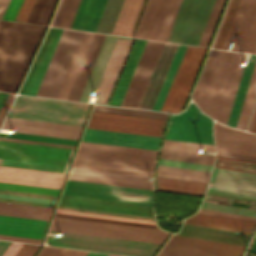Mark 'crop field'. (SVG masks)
Wrapping results in <instances>:
<instances>
[{
  "instance_id": "obj_51",
  "label": "crop field",
  "mask_w": 256,
  "mask_h": 256,
  "mask_svg": "<svg viewBox=\"0 0 256 256\" xmlns=\"http://www.w3.org/2000/svg\"><path fill=\"white\" fill-rule=\"evenodd\" d=\"M200 208L256 217V210L203 202Z\"/></svg>"
},
{
  "instance_id": "obj_4",
  "label": "crop field",
  "mask_w": 256,
  "mask_h": 256,
  "mask_svg": "<svg viewBox=\"0 0 256 256\" xmlns=\"http://www.w3.org/2000/svg\"><path fill=\"white\" fill-rule=\"evenodd\" d=\"M157 151L81 142L72 167L152 177Z\"/></svg>"
},
{
  "instance_id": "obj_46",
  "label": "crop field",
  "mask_w": 256,
  "mask_h": 256,
  "mask_svg": "<svg viewBox=\"0 0 256 256\" xmlns=\"http://www.w3.org/2000/svg\"><path fill=\"white\" fill-rule=\"evenodd\" d=\"M225 0H216L199 46H208Z\"/></svg>"
},
{
  "instance_id": "obj_50",
  "label": "crop field",
  "mask_w": 256,
  "mask_h": 256,
  "mask_svg": "<svg viewBox=\"0 0 256 256\" xmlns=\"http://www.w3.org/2000/svg\"><path fill=\"white\" fill-rule=\"evenodd\" d=\"M0 136L1 137L18 138V139H27V140H36V141L62 143V144H71V145H75L76 141H77V140H73V139H64V138L28 135V134H20V133H17L16 135L0 133Z\"/></svg>"
},
{
  "instance_id": "obj_37",
  "label": "crop field",
  "mask_w": 256,
  "mask_h": 256,
  "mask_svg": "<svg viewBox=\"0 0 256 256\" xmlns=\"http://www.w3.org/2000/svg\"><path fill=\"white\" fill-rule=\"evenodd\" d=\"M80 0H61L51 26L69 28Z\"/></svg>"
},
{
  "instance_id": "obj_58",
  "label": "crop field",
  "mask_w": 256,
  "mask_h": 256,
  "mask_svg": "<svg viewBox=\"0 0 256 256\" xmlns=\"http://www.w3.org/2000/svg\"><path fill=\"white\" fill-rule=\"evenodd\" d=\"M34 0H24L14 21L24 22Z\"/></svg>"
},
{
  "instance_id": "obj_52",
  "label": "crop field",
  "mask_w": 256,
  "mask_h": 256,
  "mask_svg": "<svg viewBox=\"0 0 256 256\" xmlns=\"http://www.w3.org/2000/svg\"><path fill=\"white\" fill-rule=\"evenodd\" d=\"M0 188L53 194V195H57L59 192V190H56V189H48V188H40V187H32V186H24V185H16V184H8V183H0Z\"/></svg>"
},
{
  "instance_id": "obj_63",
  "label": "crop field",
  "mask_w": 256,
  "mask_h": 256,
  "mask_svg": "<svg viewBox=\"0 0 256 256\" xmlns=\"http://www.w3.org/2000/svg\"><path fill=\"white\" fill-rule=\"evenodd\" d=\"M0 197L11 198V199H19V200H27V201H35V202H43V203H51V204L55 203V201H53V200L29 198V197L6 195V194H0Z\"/></svg>"
},
{
  "instance_id": "obj_48",
  "label": "crop field",
  "mask_w": 256,
  "mask_h": 256,
  "mask_svg": "<svg viewBox=\"0 0 256 256\" xmlns=\"http://www.w3.org/2000/svg\"><path fill=\"white\" fill-rule=\"evenodd\" d=\"M162 148L197 152V153H200V150L214 151V146H210V145L185 143V142H177V141H169V140L164 141Z\"/></svg>"
},
{
  "instance_id": "obj_5",
  "label": "crop field",
  "mask_w": 256,
  "mask_h": 256,
  "mask_svg": "<svg viewBox=\"0 0 256 256\" xmlns=\"http://www.w3.org/2000/svg\"><path fill=\"white\" fill-rule=\"evenodd\" d=\"M245 54L217 51L200 109L227 123L242 75Z\"/></svg>"
},
{
  "instance_id": "obj_71",
  "label": "crop field",
  "mask_w": 256,
  "mask_h": 256,
  "mask_svg": "<svg viewBox=\"0 0 256 256\" xmlns=\"http://www.w3.org/2000/svg\"><path fill=\"white\" fill-rule=\"evenodd\" d=\"M10 0H0V19L2 18Z\"/></svg>"
},
{
  "instance_id": "obj_19",
  "label": "crop field",
  "mask_w": 256,
  "mask_h": 256,
  "mask_svg": "<svg viewBox=\"0 0 256 256\" xmlns=\"http://www.w3.org/2000/svg\"><path fill=\"white\" fill-rule=\"evenodd\" d=\"M217 150L256 157V134L229 128L215 122Z\"/></svg>"
},
{
  "instance_id": "obj_44",
  "label": "crop field",
  "mask_w": 256,
  "mask_h": 256,
  "mask_svg": "<svg viewBox=\"0 0 256 256\" xmlns=\"http://www.w3.org/2000/svg\"><path fill=\"white\" fill-rule=\"evenodd\" d=\"M189 219H195V220H201V221H207V222H213V223H219V224H225V225H231V226H237V227H243V228H249V229H253V226L256 224L253 222H247V221H241V220H235V219H229V218H223V217H217V216H211V215H205V214H199V213H196L195 215L189 217Z\"/></svg>"
},
{
  "instance_id": "obj_80",
  "label": "crop field",
  "mask_w": 256,
  "mask_h": 256,
  "mask_svg": "<svg viewBox=\"0 0 256 256\" xmlns=\"http://www.w3.org/2000/svg\"><path fill=\"white\" fill-rule=\"evenodd\" d=\"M249 204V201L247 202V204L246 205H248Z\"/></svg>"
},
{
  "instance_id": "obj_75",
  "label": "crop field",
  "mask_w": 256,
  "mask_h": 256,
  "mask_svg": "<svg viewBox=\"0 0 256 256\" xmlns=\"http://www.w3.org/2000/svg\"><path fill=\"white\" fill-rule=\"evenodd\" d=\"M6 96H7L6 93H1L0 92V107H1L2 103L4 102Z\"/></svg>"
},
{
  "instance_id": "obj_68",
  "label": "crop field",
  "mask_w": 256,
  "mask_h": 256,
  "mask_svg": "<svg viewBox=\"0 0 256 256\" xmlns=\"http://www.w3.org/2000/svg\"><path fill=\"white\" fill-rule=\"evenodd\" d=\"M0 201L4 202H14V203H21V204H28V205H36V206H43V207H50L53 208L54 205L51 204H43V203H35V202H27V201H19V200H11V199H4L0 198Z\"/></svg>"
},
{
  "instance_id": "obj_34",
  "label": "crop field",
  "mask_w": 256,
  "mask_h": 256,
  "mask_svg": "<svg viewBox=\"0 0 256 256\" xmlns=\"http://www.w3.org/2000/svg\"><path fill=\"white\" fill-rule=\"evenodd\" d=\"M255 59H256V56L251 55L249 61L252 60L254 62L253 63L248 62L247 67L244 68L243 75H242V78L238 87V91L234 100V104H233V107L229 116V120L227 123L230 126H234V127L236 126L240 109L243 103V99L246 93V89L249 83V79L252 73V69L255 63Z\"/></svg>"
},
{
  "instance_id": "obj_43",
  "label": "crop field",
  "mask_w": 256,
  "mask_h": 256,
  "mask_svg": "<svg viewBox=\"0 0 256 256\" xmlns=\"http://www.w3.org/2000/svg\"><path fill=\"white\" fill-rule=\"evenodd\" d=\"M92 110L129 114V115H137V116L154 117V118H162V119H166V117H167L166 113H161V112L117 108V107L100 106V105H94Z\"/></svg>"
},
{
  "instance_id": "obj_32",
  "label": "crop field",
  "mask_w": 256,
  "mask_h": 256,
  "mask_svg": "<svg viewBox=\"0 0 256 256\" xmlns=\"http://www.w3.org/2000/svg\"><path fill=\"white\" fill-rule=\"evenodd\" d=\"M210 172L158 165L156 176L207 183Z\"/></svg>"
},
{
  "instance_id": "obj_41",
  "label": "crop field",
  "mask_w": 256,
  "mask_h": 256,
  "mask_svg": "<svg viewBox=\"0 0 256 256\" xmlns=\"http://www.w3.org/2000/svg\"><path fill=\"white\" fill-rule=\"evenodd\" d=\"M214 167L230 169L236 171H243L249 173H256V162L226 158V157H216Z\"/></svg>"
},
{
  "instance_id": "obj_40",
  "label": "crop field",
  "mask_w": 256,
  "mask_h": 256,
  "mask_svg": "<svg viewBox=\"0 0 256 256\" xmlns=\"http://www.w3.org/2000/svg\"><path fill=\"white\" fill-rule=\"evenodd\" d=\"M160 158L212 165L214 156L162 149Z\"/></svg>"
},
{
  "instance_id": "obj_55",
  "label": "crop field",
  "mask_w": 256,
  "mask_h": 256,
  "mask_svg": "<svg viewBox=\"0 0 256 256\" xmlns=\"http://www.w3.org/2000/svg\"><path fill=\"white\" fill-rule=\"evenodd\" d=\"M158 164L176 166V167H184V168H192V169H199V170H207V171H210L211 167H212V166H209V165H201V164L178 162V161L163 160V159H160Z\"/></svg>"
},
{
  "instance_id": "obj_21",
  "label": "crop field",
  "mask_w": 256,
  "mask_h": 256,
  "mask_svg": "<svg viewBox=\"0 0 256 256\" xmlns=\"http://www.w3.org/2000/svg\"><path fill=\"white\" fill-rule=\"evenodd\" d=\"M134 39L119 37L98 86L95 103L106 104Z\"/></svg>"
},
{
  "instance_id": "obj_65",
  "label": "crop field",
  "mask_w": 256,
  "mask_h": 256,
  "mask_svg": "<svg viewBox=\"0 0 256 256\" xmlns=\"http://www.w3.org/2000/svg\"><path fill=\"white\" fill-rule=\"evenodd\" d=\"M0 182H8V183H16V184H24V185H32V186H40V187H48V188H56V189H60V187H61V186H57V185L39 184V183L4 180V179H0Z\"/></svg>"
},
{
  "instance_id": "obj_49",
  "label": "crop field",
  "mask_w": 256,
  "mask_h": 256,
  "mask_svg": "<svg viewBox=\"0 0 256 256\" xmlns=\"http://www.w3.org/2000/svg\"><path fill=\"white\" fill-rule=\"evenodd\" d=\"M240 0H232L231 5L229 7L228 13L226 15L225 21L223 23L222 29L220 31L219 37L217 39L216 45L214 48L221 49L228 33L229 27L235 15L236 9L238 7Z\"/></svg>"
},
{
  "instance_id": "obj_36",
  "label": "crop field",
  "mask_w": 256,
  "mask_h": 256,
  "mask_svg": "<svg viewBox=\"0 0 256 256\" xmlns=\"http://www.w3.org/2000/svg\"><path fill=\"white\" fill-rule=\"evenodd\" d=\"M56 0H35L25 22L47 25Z\"/></svg>"
},
{
  "instance_id": "obj_66",
  "label": "crop field",
  "mask_w": 256,
  "mask_h": 256,
  "mask_svg": "<svg viewBox=\"0 0 256 256\" xmlns=\"http://www.w3.org/2000/svg\"><path fill=\"white\" fill-rule=\"evenodd\" d=\"M14 96H15V95L8 94V96H7V98H6L5 102H4V104L2 105V107H1V109H0V124H1V122H2V120H3V118H4V116H5V114H6V112H7V110H8V108H9V106H10V104H11V102H12Z\"/></svg>"
},
{
  "instance_id": "obj_45",
  "label": "crop field",
  "mask_w": 256,
  "mask_h": 256,
  "mask_svg": "<svg viewBox=\"0 0 256 256\" xmlns=\"http://www.w3.org/2000/svg\"><path fill=\"white\" fill-rule=\"evenodd\" d=\"M64 251L63 248L43 246L37 256H61ZM87 253L86 251L66 249L62 256H86ZM87 256H108V254L89 252Z\"/></svg>"
},
{
  "instance_id": "obj_60",
  "label": "crop field",
  "mask_w": 256,
  "mask_h": 256,
  "mask_svg": "<svg viewBox=\"0 0 256 256\" xmlns=\"http://www.w3.org/2000/svg\"><path fill=\"white\" fill-rule=\"evenodd\" d=\"M0 193L30 196V197L45 198V199H53V200H56V198H57V196H53V195H45V194H37V193H29V192H20V191H12V190H4V189H0Z\"/></svg>"
},
{
  "instance_id": "obj_17",
  "label": "crop field",
  "mask_w": 256,
  "mask_h": 256,
  "mask_svg": "<svg viewBox=\"0 0 256 256\" xmlns=\"http://www.w3.org/2000/svg\"><path fill=\"white\" fill-rule=\"evenodd\" d=\"M62 30L50 27L19 93L36 95Z\"/></svg>"
},
{
  "instance_id": "obj_47",
  "label": "crop field",
  "mask_w": 256,
  "mask_h": 256,
  "mask_svg": "<svg viewBox=\"0 0 256 256\" xmlns=\"http://www.w3.org/2000/svg\"><path fill=\"white\" fill-rule=\"evenodd\" d=\"M5 122L80 132L82 127L7 117Z\"/></svg>"
},
{
  "instance_id": "obj_27",
  "label": "crop field",
  "mask_w": 256,
  "mask_h": 256,
  "mask_svg": "<svg viewBox=\"0 0 256 256\" xmlns=\"http://www.w3.org/2000/svg\"><path fill=\"white\" fill-rule=\"evenodd\" d=\"M117 38L116 36H105L78 101L87 102L93 87H97Z\"/></svg>"
},
{
  "instance_id": "obj_29",
  "label": "crop field",
  "mask_w": 256,
  "mask_h": 256,
  "mask_svg": "<svg viewBox=\"0 0 256 256\" xmlns=\"http://www.w3.org/2000/svg\"><path fill=\"white\" fill-rule=\"evenodd\" d=\"M147 40L137 39L109 105L119 106Z\"/></svg>"
},
{
  "instance_id": "obj_28",
  "label": "crop field",
  "mask_w": 256,
  "mask_h": 256,
  "mask_svg": "<svg viewBox=\"0 0 256 256\" xmlns=\"http://www.w3.org/2000/svg\"><path fill=\"white\" fill-rule=\"evenodd\" d=\"M65 174L0 166V178L61 185Z\"/></svg>"
},
{
  "instance_id": "obj_64",
  "label": "crop field",
  "mask_w": 256,
  "mask_h": 256,
  "mask_svg": "<svg viewBox=\"0 0 256 256\" xmlns=\"http://www.w3.org/2000/svg\"><path fill=\"white\" fill-rule=\"evenodd\" d=\"M0 239L40 244L41 240L0 235Z\"/></svg>"
},
{
  "instance_id": "obj_6",
  "label": "crop field",
  "mask_w": 256,
  "mask_h": 256,
  "mask_svg": "<svg viewBox=\"0 0 256 256\" xmlns=\"http://www.w3.org/2000/svg\"><path fill=\"white\" fill-rule=\"evenodd\" d=\"M89 106L85 103L19 96L8 116L82 126Z\"/></svg>"
},
{
  "instance_id": "obj_31",
  "label": "crop field",
  "mask_w": 256,
  "mask_h": 256,
  "mask_svg": "<svg viewBox=\"0 0 256 256\" xmlns=\"http://www.w3.org/2000/svg\"><path fill=\"white\" fill-rule=\"evenodd\" d=\"M53 209L0 202V214L48 220Z\"/></svg>"
},
{
  "instance_id": "obj_53",
  "label": "crop field",
  "mask_w": 256,
  "mask_h": 256,
  "mask_svg": "<svg viewBox=\"0 0 256 256\" xmlns=\"http://www.w3.org/2000/svg\"><path fill=\"white\" fill-rule=\"evenodd\" d=\"M56 212L155 225V223H153L152 221H148V220L114 217V216H106V215H97V214H89V213H79V212H75V211H67V210H60V209H57Z\"/></svg>"
},
{
  "instance_id": "obj_25",
  "label": "crop field",
  "mask_w": 256,
  "mask_h": 256,
  "mask_svg": "<svg viewBox=\"0 0 256 256\" xmlns=\"http://www.w3.org/2000/svg\"><path fill=\"white\" fill-rule=\"evenodd\" d=\"M176 235L236 244L245 246L250 235L236 233L233 231L213 229L207 227L184 224L181 231Z\"/></svg>"
},
{
  "instance_id": "obj_69",
  "label": "crop field",
  "mask_w": 256,
  "mask_h": 256,
  "mask_svg": "<svg viewBox=\"0 0 256 256\" xmlns=\"http://www.w3.org/2000/svg\"><path fill=\"white\" fill-rule=\"evenodd\" d=\"M217 155L232 157V158H238V159H244V160H250V161H256V158H254V157L231 154V153H225V152H219V151H217Z\"/></svg>"
},
{
  "instance_id": "obj_61",
  "label": "crop field",
  "mask_w": 256,
  "mask_h": 256,
  "mask_svg": "<svg viewBox=\"0 0 256 256\" xmlns=\"http://www.w3.org/2000/svg\"><path fill=\"white\" fill-rule=\"evenodd\" d=\"M40 246L23 244L15 256H34Z\"/></svg>"
},
{
  "instance_id": "obj_26",
  "label": "crop field",
  "mask_w": 256,
  "mask_h": 256,
  "mask_svg": "<svg viewBox=\"0 0 256 256\" xmlns=\"http://www.w3.org/2000/svg\"><path fill=\"white\" fill-rule=\"evenodd\" d=\"M107 0H81L70 28L95 32Z\"/></svg>"
},
{
  "instance_id": "obj_13",
  "label": "crop field",
  "mask_w": 256,
  "mask_h": 256,
  "mask_svg": "<svg viewBox=\"0 0 256 256\" xmlns=\"http://www.w3.org/2000/svg\"><path fill=\"white\" fill-rule=\"evenodd\" d=\"M244 1L241 0L222 49H225ZM230 40L231 50L253 53L256 47V0H245ZM227 49V48H226Z\"/></svg>"
},
{
  "instance_id": "obj_24",
  "label": "crop field",
  "mask_w": 256,
  "mask_h": 256,
  "mask_svg": "<svg viewBox=\"0 0 256 256\" xmlns=\"http://www.w3.org/2000/svg\"><path fill=\"white\" fill-rule=\"evenodd\" d=\"M47 222L0 215V234L41 239Z\"/></svg>"
},
{
  "instance_id": "obj_14",
  "label": "crop field",
  "mask_w": 256,
  "mask_h": 256,
  "mask_svg": "<svg viewBox=\"0 0 256 256\" xmlns=\"http://www.w3.org/2000/svg\"><path fill=\"white\" fill-rule=\"evenodd\" d=\"M63 193L152 204V191L68 180Z\"/></svg>"
},
{
  "instance_id": "obj_33",
  "label": "crop field",
  "mask_w": 256,
  "mask_h": 256,
  "mask_svg": "<svg viewBox=\"0 0 256 256\" xmlns=\"http://www.w3.org/2000/svg\"><path fill=\"white\" fill-rule=\"evenodd\" d=\"M207 184L156 177V189L204 195Z\"/></svg>"
},
{
  "instance_id": "obj_67",
  "label": "crop field",
  "mask_w": 256,
  "mask_h": 256,
  "mask_svg": "<svg viewBox=\"0 0 256 256\" xmlns=\"http://www.w3.org/2000/svg\"><path fill=\"white\" fill-rule=\"evenodd\" d=\"M22 244L11 242L2 256H14L18 249L21 247Z\"/></svg>"
},
{
  "instance_id": "obj_59",
  "label": "crop field",
  "mask_w": 256,
  "mask_h": 256,
  "mask_svg": "<svg viewBox=\"0 0 256 256\" xmlns=\"http://www.w3.org/2000/svg\"><path fill=\"white\" fill-rule=\"evenodd\" d=\"M198 212L256 222L255 217L242 216V215L229 214V213H222V212L209 211V210H203V209H199Z\"/></svg>"
},
{
  "instance_id": "obj_39",
  "label": "crop field",
  "mask_w": 256,
  "mask_h": 256,
  "mask_svg": "<svg viewBox=\"0 0 256 256\" xmlns=\"http://www.w3.org/2000/svg\"><path fill=\"white\" fill-rule=\"evenodd\" d=\"M255 96H256V64L252 73L249 87H248L245 100L241 109V113L238 119V123L236 126L237 128L245 129L251 110H252Z\"/></svg>"
},
{
  "instance_id": "obj_62",
  "label": "crop field",
  "mask_w": 256,
  "mask_h": 256,
  "mask_svg": "<svg viewBox=\"0 0 256 256\" xmlns=\"http://www.w3.org/2000/svg\"><path fill=\"white\" fill-rule=\"evenodd\" d=\"M57 208L69 209V210H77V211H87V212H95V213H103V214H111V215H119V216H127V217H135V218H143V219H151V220H154V218H150V217H142V216H134V215H126V214H118V213H110V212H102V211H94V210L70 208V207H62V206H58Z\"/></svg>"
},
{
  "instance_id": "obj_15",
  "label": "crop field",
  "mask_w": 256,
  "mask_h": 256,
  "mask_svg": "<svg viewBox=\"0 0 256 256\" xmlns=\"http://www.w3.org/2000/svg\"><path fill=\"white\" fill-rule=\"evenodd\" d=\"M164 43L148 40L120 106L137 108Z\"/></svg>"
},
{
  "instance_id": "obj_20",
  "label": "crop field",
  "mask_w": 256,
  "mask_h": 256,
  "mask_svg": "<svg viewBox=\"0 0 256 256\" xmlns=\"http://www.w3.org/2000/svg\"><path fill=\"white\" fill-rule=\"evenodd\" d=\"M160 139L158 137L86 128L81 141L157 150Z\"/></svg>"
},
{
  "instance_id": "obj_78",
  "label": "crop field",
  "mask_w": 256,
  "mask_h": 256,
  "mask_svg": "<svg viewBox=\"0 0 256 256\" xmlns=\"http://www.w3.org/2000/svg\"><path fill=\"white\" fill-rule=\"evenodd\" d=\"M245 256H256V255L246 253Z\"/></svg>"
},
{
  "instance_id": "obj_2",
  "label": "crop field",
  "mask_w": 256,
  "mask_h": 256,
  "mask_svg": "<svg viewBox=\"0 0 256 256\" xmlns=\"http://www.w3.org/2000/svg\"><path fill=\"white\" fill-rule=\"evenodd\" d=\"M178 0H147L133 37L162 41ZM215 0H183L167 41L197 46Z\"/></svg>"
},
{
  "instance_id": "obj_76",
  "label": "crop field",
  "mask_w": 256,
  "mask_h": 256,
  "mask_svg": "<svg viewBox=\"0 0 256 256\" xmlns=\"http://www.w3.org/2000/svg\"><path fill=\"white\" fill-rule=\"evenodd\" d=\"M250 203H251V206H249V208L256 209V202L251 201Z\"/></svg>"
},
{
  "instance_id": "obj_77",
  "label": "crop field",
  "mask_w": 256,
  "mask_h": 256,
  "mask_svg": "<svg viewBox=\"0 0 256 256\" xmlns=\"http://www.w3.org/2000/svg\"><path fill=\"white\" fill-rule=\"evenodd\" d=\"M253 132H256V120H255V123H254V126H253Z\"/></svg>"
},
{
  "instance_id": "obj_10",
  "label": "crop field",
  "mask_w": 256,
  "mask_h": 256,
  "mask_svg": "<svg viewBox=\"0 0 256 256\" xmlns=\"http://www.w3.org/2000/svg\"><path fill=\"white\" fill-rule=\"evenodd\" d=\"M207 49L188 46L161 111H181Z\"/></svg>"
},
{
  "instance_id": "obj_56",
  "label": "crop field",
  "mask_w": 256,
  "mask_h": 256,
  "mask_svg": "<svg viewBox=\"0 0 256 256\" xmlns=\"http://www.w3.org/2000/svg\"><path fill=\"white\" fill-rule=\"evenodd\" d=\"M184 223L187 224H193V225H200V226H207V227H213V228H220V229H227V230H233V231H239L242 233H248L250 234L252 230L249 229H243V228H237V227H231V226H225V225H219V224H213V223H207V222H201V221H195V220H189L185 219Z\"/></svg>"
},
{
  "instance_id": "obj_74",
  "label": "crop field",
  "mask_w": 256,
  "mask_h": 256,
  "mask_svg": "<svg viewBox=\"0 0 256 256\" xmlns=\"http://www.w3.org/2000/svg\"><path fill=\"white\" fill-rule=\"evenodd\" d=\"M230 2H231V0H230L229 3H228L226 12H225V14H224V16H223V19H222V22H221V25H220V28H219V31H220V29H221V26H222V23H223V21H224V18H225V15H226V13H227V10H228V7H229V5H230ZM219 31H218V33H217L216 39H217V37H218ZM216 39H215V41H214V44H213L212 48H213L214 45H215Z\"/></svg>"
},
{
  "instance_id": "obj_38",
  "label": "crop field",
  "mask_w": 256,
  "mask_h": 256,
  "mask_svg": "<svg viewBox=\"0 0 256 256\" xmlns=\"http://www.w3.org/2000/svg\"><path fill=\"white\" fill-rule=\"evenodd\" d=\"M2 128L17 130V132H20V133L47 135V136L73 138V139H77L80 134L77 132L61 131V130L30 127V126L7 124V123H4Z\"/></svg>"
},
{
  "instance_id": "obj_16",
  "label": "crop field",
  "mask_w": 256,
  "mask_h": 256,
  "mask_svg": "<svg viewBox=\"0 0 256 256\" xmlns=\"http://www.w3.org/2000/svg\"><path fill=\"white\" fill-rule=\"evenodd\" d=\"M58 205L154 217L148 204L63 194Z\"/></svg>"
},
{
  "instance_id": "obj_81",
  "label": "crop field",
  "mask_w": 256,
  "mask_h": 256,
  "mask_svg": "<svg viewBox=\"0 0 256 256\" xmlns=\"http://www.w3.org/2000/svg\"><path fill=\"white\" fill-rule=\"evenodd\" d=\"M254 53H256V50H255V52Z\"/></svg>"
},
{
  "instance_id": "obj_73",
  "label": "crop field",
  "mask_w": 256,
  "mask_h": 256,
  "mask_svg": "<svg viewBox=\"0 0 256 256\" xmlns=\"http://www.w3.org/2000/svg\"><path fill=\"white\" fill-rule=\"evenodd\" d=\"M9 244H10V242L0 241V256Z\"/></svg>"
},
{
  "instance_id": "obj_35",
  "label": "crop field",
  "mask_w": 256,
  "mask_h": 256,
  "mask_svg": "<svg viewBox=\"0 0 256 256\" xmlns=\"http://www.w3.org/2000/svg\"><path fill=\"white\" fill-rule=\"evenodd\" d=\"M187 46L179 45L152 110L160 111Z\"/></svg>"
},
{
  "instance_id": "obj_9",
  "label": "crop field",
  "mask_w": 256,
  "mask_h": 256,
  "mask_svg": "<svg viewBox=\"0 0 256 256\" xmlns=\"http://www.w3.org/2000/svg\"><path fill=\"white\" fill-rule=\"evenodd\" d=\"M165 139L214 144L212 119L190 103L184 112L171 115Z\"/></svg>"
},
{
  "instance_id": "obj_12",
  "label": "crop field",
  "mask_w": 256,
  "mask_h": 256,
  "mask_svg": "<svg viewBox=\"0 0 256 256\" xmlns=\"http://www.w3.org/2000/svg\"><path fill=\"white\" fill-rule=\"evenodd\" d=\"M124 0H108L96 32L111 34ZM144 0H125L112 34L130 37Z\"/></svg>"
},
{
  "instance_id": "obj_72",
  "label": "crop field",
  "mask_w": 256,
  "mask_h": 256,
  "mask_svg": "<svg viewBox=\"0 0 256 256\" xmlns=\"http://www.w3.org/2000/svg\"><path fill=\"white\" fill-rule=\"evenodd\" d=\"M255 116H256V104H255V107H254V111H253V114H252V118H251V121H250V124H249L248 131L252 130V126H253V123H254V120H255Z\"/></svg>"
},
{
  "instance_id": "obj_30",
  "label": "crop field",
  "mask_w": 256,
  "mask_h": 256,
  "mask_svg": "<svg viewBox=\"0 0 256 256\" xmlns=\"http://www.w3.org/2000/svg\"><path fill=\"white\" fill-rule=\"evenodd\" d=\"M93 34L94 33H89V32L84 33L82 40L80 42V45L75 54V57L70 66V69L65 78V81L62 85L60 93L57 97L58 99H66L67 98Z\"/></svg>"
},
{
  "instance_id": "obj_22",
  "label": "crop field",
  "mask_w": 256,
  "mask_h": 256,
  "mask_svg": "<svg viewBox=\"0 0 256 256\" xmlns=\"http://www.w3.org/2000/svg\"><path fill=\"white\" fill-rule=\"evenodd\" d=\"M68 179L152 190L147 177L140 176L76 169L74 176L69 175Z\"/></svg>"
},
{
  "instance_id": "obj_8",
  "label": "crop field",
  "mask_w": 256,
  "mask_h": 256,
  "mask_svg": "<svg viewBox=\"0 0 256 256\" xmlns=\"http://www.w3.org/2000/svg\"><path fill=\"white\" fill-rule=\"evenodd\" d=\"M83 33L63 30L36 96L57 97Z\"/></svg>"
},
{
  "instance_id": "obj_11",
  "label": "crop field",
  "mask_w": 256,
  "mask_h": 256,
  "mask_svg": "<svg viewBox=\"0 0 256 256\" xmlns=\"http://www.w3.org/2000/svg\"><path fill=\"white\" fill-rule=\"evenodd\" d=\"M165 121L92 111L86 127L161 137Z\"/></svg>"
},
{
  "instance_id": "obj_18",
  "label": "crop field",
  "mask_w": 256,
  "mask_h": 256,
  "mask_svg": "<svg viewBox=\"0 0 256 256\" xmlns=\"http://www.w3.org/2000/svg\"><path fill=\"white\" fill-rule=\"evenodd\" d=\"M213 191L256 198V174L214 168Z\"/></svg>"
},
{
  "instance_id": "obj_42",
  "label": "crop field",
  "mask_w": 256,
  "mask_h": 256,
  "mask_svg": "<svg viewBox=\"0 0 256 256\" xmlns=\"http://www.w3.org/2000/svg\"><path fill=\"white\" fill-rule=\"evenodd\" d=\"M216 51L217 50H214V49L210 50L208 59L206 61L204 70H203L202 75H201V78H200V80H199V82H198V84L195 88V91L193 93L192 98L197 103L198 107H200V104H201V100H202L204 90H205V87H206V84H207V81H208V77H209V74H210V71H211V68H212V64H213V61H214V58H215Z\"/></svg>"
},
{
  "instance_id": "obj_79",
  "label": "crop field",
  "mask_w": 256,
  "mask_h": 256,
  "mask_svg": "<svg viewBox=\"0 0 256 256\" xmlns=\"http://www.w3.org/2000/svg\"><path fill=\"white\" fill-rule=\"evenodd\" d=\"M109 256H119V255H113V254H109Z\"/></svg>"
},
{
  "instance_id": "obj_57",
  "label": "crop field",
  "mask_w": 256,
  "mask_h": 256,
  "mask_svg": "<svg viewBox=\"0 0 256 256\" xmlns=\"http://www.w3.org/2000/svg\"><path fill=\"white\" fill-rule=\"evenodd\" d=\"M23 0H11L2 19L13 21Z\"/></svg>"
},
{
  "instance_id": "obj_23",
  "label": "crop field",
  "mask_w": 256,
  "mask_h": 256,
  "mask_svg": "<svg viewBox=\"0 0 256 256\" xmlns=\"http://www.w3.org/2000/svg\"><path fill=\"white\" fill-rule=\"evenodd\" d=\"M178 45L165 43L138 108L151 110Z\"/></svg>"
},
{
  "instance_id": "obj_7",
  "label": "crop field",
  "mask_w": 256,
  "mask_h": 256,
  "mask_svg": "<svg viewBox=\"0 0 256 256\" xmlns=\"http://www.w3.org/2000/svg\"><path fill=\"white\" fill-rule=\"evenodd\" d=\"M70 149L0 140L2 166L63 172Z\"/></svg>"
},
{
  "instance_id": "obj_70",
  "label": "crop field",
  "mask_w": 256,
  "mask_h": 256,
  "mask_svg": "<svg viewBox=\"0 0 256 256\" xmlns=\"http://www.w3.org/2000/svg\"><path fill=\"white\" fill-rule=\"evenodd\" d=\"M0 139L15 140V141H23V142H31V143H39V144H47V145H55V146H63V147H71V148H74V147H75V146H71V145H62V144L45 143V142H36V141H27V140H18V139L1 138V137H0Z\"/></svg>"
},
{
  "instance_id": "obj_54",
  "label": "crop field",
  "mask_w": 256,
  "mask_h": 256,
  "mask_svg": "<svg viewBox=\"0 0 256 256\" xmlns=\"http://www.w3.org/2000/svg\"><path fill=\"white\" fill-rule=\"evenodd\" d=\"M55 216L67 217V218H75V219H83V220H91V221H99V222L116 223V224H124V225H132V226H140V227H148V228H156V229H158L156 226H152V225H144V224H136V223H129V222L105 220V219L90 218V217H82V216H75V215H67V214H59V213H56Z\"/></svg>"
},
{
  "instance_id": "obj_1",
  "label": "crop field",
  "mask_w": 256,
  "mask_h": 256,
  "mask_svg": "<svg viewBox=\"0 0 256 256\" xmlns=\"http://www.w3.org/2000/svg\"><path fill=\"white\" fill-rule=\"evenodd\" d=\"M49 230L149 242L162 244L169 233L148 228L107 224L55 217ZM63 234V238L47 236L49 245L105 251L137 256H152L160 245L53 232Z\"/></svg>"
},
{
  "instance_id": "obj_3",
  "label": "crop field",
  "mask_w": 256,
  "mask_h": 256,
  "mask_svg": "<svg viewBox=\"0 0 256 256\" xmlns=\"http://www.w3.org/2000/svg\"><path fill=\"white\" fill-rule=\"evenodd\" d=\"M46 27L0 20V90L14 93Z\"/></svg>"
}]
</instances>
